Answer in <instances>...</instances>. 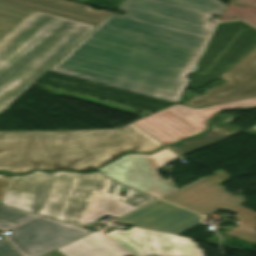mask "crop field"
<instances>
[{
    "label": "crop field",
    "mask_w": 256,
    "mask_h": 256,
    "mask_svg": "<svg viewBox=\"0 0 256 256\" xmlns=\"http://www.w3.org/2000/svg\"><path fill=\"white\" fill-rule=\"evenodd\" d=\"M161 146L130 124L103 130L0 132V170L91 171L126 150L152 153Z\"/></svg>",
    "instance_id": "ac0d7876"
},
{
    "label": "crop field",
    "mask_w": 256,
    "mask_h": 256,
    "mask_svg": "<svg viewBox=\"0 0 256 256\" xmlns=\"http://www.w3.org/2000/svg\"><path fill=\"white\" fill-rule=\"evenodd\" d=\"M212 177H203L162 199L196 211L202 215H208L219 209L229 210L241 204L245 197L233 196L224 191L219 184L230 177L222 169L214 172Z\"/></svg>",
    "instance_id": "d8731c3e"
},
{
    "label": "crop field",
    "mask_w": 256,
    "mask_h": 256,
    "mask_svg": "<svg viewBox=\"0 0 256 256\" xmlns=\"http://www.w3.org/2000/svg\"><path fill=\"white\" fill-rule=\"evenodd\" d=\"M237 107H256V97L199 109L175 104L133 124L165 145L205 131L209 119L216 112Z\"/></svg>",
    "instance_id": "f4fd0767"
},
{
    "label": "crop field",
    "mask_w": 256,
    "mask_h": 256,
    "mask_svg": "<svg viewBox=\"0 0 256 256\" xmlns=\"http://www.w3.org/2000/svg\"><path fill=\"white\" fill-rule=\"evenodd\" d=\"M31 12H33V10L0 2V37L15 27Z\"/></svg>",
    "instance_id": "d9b57169"
},
{
    "label": "crop field",
    "mask_w": 256,
    "mask_h": 256,
    "mask_svg": "<svg viewBox=\"0 0 256 256\" xmlns=\"http://www.w3.org/2000/svg\"><path fill=\"white\" fill-rule=\"evenodd\" d=\"M201 219V215L158 199L115 222L177 235Z\"/></svg>",
    "instance_id": "28ad6ade"
},
{
    "label": "crop field",
    "mask_w": 256,
    "mask_h": 256,
    "mask_svg": "<svg viewBox=\"0 0 256 256\" xmlns=\"http://www.w3.org/2000/svg\"><path fill=\"white\" fill-rule=\"evenodd\" d=\"M236 214L234 218L238 219V228L227 232V234L248 241L250 243L256 241V213L240 206L230 210Z\"/></svg>",
    "instance_id": "5142ce71"
},
{
    "label": "crop field",
    "mask_w": 256,
    "mask_h": 256,
    "mask_svg": "<svg viewBox=\"0 0 256 256\" xmlns=\"http://www.w3.org/2000/svg\"><path fill=\"white\" fill-rule=\"evenodd\" d=\"M1 2L98 25L111 12L103 10L93 11L86 5L68 0H0Z\"/></svg>",
    "instance_id": "d1516ede"
},
{
    "label": "crop field",
    "mask_w": 256,
    "mask_h": 256,
    "mask_svg": "<svg viewBox=\"0 0 256 256\" xmlns=\"http://www.w3.org/2000/svg\"><path fill=\"white\" fill-rule=\"evenodd\" d=\"M95 28L34 11L0 39V115Z\"/></svg>",
    "instance_id": "412701ff"
},
{
    "label": "crop field",
    "mask_w": 256,
    "mask_h": 256,
    "mask_svg": "<svg viewBox=\"0 0 256 256\" xmlns=\"http://www.w3.org/2000/svg\"><path fill=\"white\" fill-rule=\"evenodd\" d=\"M0 256H19L8 244L1 238L0 239Z\"/></svg>",
    "instance_id": "4a817a6b"
},
{
    "label": "crop field",
    "mask_w": 256,
    "mask_h": 256,
    "mask_svg": "<svg viewBox=\"0 0 256 256\" xmlns=\"http://www.w3.org/2000/svg\"><path fill=\"white\" fill-rule=\"evenodd\" d=\"M45 256H64L63 254L59 253L57 250L45 255Z\"/></svg>",
    "instance_id": "00972430"
},
{
    "label": "crop field",
    "mask_w": 256,
    "mask_h": 256,
    "mask_svg": "<svg viewBox=\"0 0 256 256\" xmlns=\"http://www.w3.org/2000/svg\"><path fill=\"white\" fill-rule=\"evenodd\" d=\"M4 238L21 256H41L91 231L52 219L36 217Z\"/></svg>",
    "instance_id": "dd49c442"
},
{
    "label": "crop field",
    "mask_w": 256,
    "mask_h": 256,
    "mask_svg": "<svg viewBox=\"0 0 256 256\" xmlns=\"http://www.w3.org/2000/svg\"><path fill=\"white\" fill-rule=\"evenodd\" d=\"M227 4L125 0L51 70L179 102Z\"/></svg>",
    "instance_id": "8a807250"
},
{
    "label": "crop field",
    "mask_w": 256,
    "mask_h": 256,
    "mask_svg": "<svg viewBox=\"0 0 256 256\" xmlns=\"http://www.w3.org/2000/svg\"><path fill=\"white\" fill-rule=\"evenodd\" d=\"M155 154L158 157L126 155L120 166H110L100 172L123 185L159 197L174 188L169 180L162 179L157 169L179 156L166 148Z\"/></svg>",
    "instance_id": "e52e79f7"
},
{
    "label": "crop field",
    "mask_w": 256,
    "mask_h": 256,
    "mask_svg": "<svg viewBox=\"0 0 256 256\" xmlns=\"http://www.w3.org/2000/svg\"><path fill=\"white\" fill-rule=\"evenodd\" d=\"M10 176L0 175V202Z\"/></svg>",
    "instance_id": "bc2a9ffb"
},
{
    "label": "crop field",
    "mask_w": 256,
    "mask_h": 256,
    "mask_svg": "<svg viewBox=\"0 0 256 256\" xmlns=\"http://www.w3.org/2000/svg\"><path fill=\"white\" fill-rule=\"evenodd\" d=\"M57 219H61V220H63L62 218H59V217H57Z\"/></svg>",
    "instance_id": "eef30255"
},
{
    "label": "crop field",
    "mask_w": 256,
    "mask_h": 256,
    "mask_svg": "<svg viewBox=\"0 0 256 256\" xmlns=\"http://www.w3.org/2000/svg\"><path fill=\"white\" fill-rule=\"evenodd\" d=\"M219 78L226 84L194 97L186 105L200 107L256 96V47Z\"/></svg>",
    "instance_id": "3316defc"
},
{
    "label": "crop field",
    "mask_w": 256,
    "mask_h": 256,
    "mask_svg": "<svg viewBox=\"0 0 256 256\" xmlns=\"http://www.w3.org/2000/svg\"><path fill=\"white\" fill-rule=\"evenodd\" d=\"M252 130H256V126L252 128Z\"/></svg>",
    "instance_id": "730fd06b"
},
{
    "label": "crop field",
    "mask_w": 256,
    "mask_h": 256,
    "mask_svg": "<svg viewBox=\"0 0 256 256\" xmlns=\"http://www.w3.org/2000/svg\"><path fill=\"white\" fill-rule=\"evenodd\" d=\"M117 185L99 172L35 171L11 176L1 204L85 225L105 214L118 217L155 199L130 189L127 198L115 197Z\"/></svg>",
    "instance_id": "34b2d1b8"
},
{
    "label": "crop field",
    "mask_w": 256,
    "mask_h": 256,
    "mask_svg": "<svg viewBox=\"0 0 256 256\" xmlns=\"http://www.w3.org/2000/svg\"><path fill=\"white\" fill-rule=\"evenodd\" d=\"M237 128L239 127L211 125L208 132L202 135L196 136L194 138L175 143L168 147L181 155L188 151H191L199 147L205 146L207 144L221 140L224 137H226L228 134L235 131Z\"/></svg>",
    "instance_id": "cbeb9de0"
},
{
    "label": "crop field",
    "mask_w": 256,
    "mask_h": 256,
    "mask_svg": "<svg viewBox=\"0 0 256 256\" xmlns=\"http://www.w3.org/2000/svg\"><path fill=\"white\" fill-rule=\"evenodd\" d=\"M230 121H231V120H229V119L223 118V119H221V120L216 121V122L213 123V124L227 125ZM230 123H231V122H230Z\"/></svg>",
    "instance_id": "dafd665d"
},
{
    "label": "crop field",
    "mask_w": 256,
    "mask_h": 256,
    "mask_svg": "<svg viewBox=\"0 0 256 256\" xmlns=\"http://www.w3.org/2000/svg\"><path fill=\"white\" fill-rule=\"evenodd\" d=\"M151 156H156V155L153 154V155H151ZM123 158H124V157H122L121 159H123ZM121 159H119V160H121ZM119 160H117V161H115V162H113V163H111V164H109V165H107V166H105V167L99 169V171L102 170V169H104V168H106V167H108V166H110V165H118V161H119Z\"/></svg>",
    "instance_id": "a9b5d70f"
},
{
    "label": "crop field",
    "mask_w": 256,
    "mask_h": 256,
    "mask_svg": "<svg viewBox=\"0 0 256 256\" xmlns=\"http://www.w3.org/2000/svg\"><path fill=\"white\" fill-rule=\"evenodd\" d=\"M108 237L131 251L136 256H205L190 238L174 236L132 227L128 231H112ZM130 252V253H131Z\"/></svg>",
    "instance_id": "5a996713"
},
{
    "label": "crop field",
    "mask_w": 256,
    "mask_h": 256,
    "mask_svg": "<svg viewBox=\"0 0 256 256\" xmlns=\"http://www.w3.org/2000/svg\"><path fill=\"white\" fill-rule=\"evenodd\" d=\"M15 225H17V224H13V223H9V222L0 220V229L7 230Z\"/></svg>",
    "instance_id": "92a150f3"
},
{
    "label": "crop field",
    "mask_w": 256,
    "mask_h": 256,
    "mask_svg": "<svg viewBox=\"0 0 256 256\" xmlns=\"http://www.w3.org/2000/svg\"><path fill=\"white\" fill-rule=\"evenodd\" d=\"M120 192H125V196L120 195ZM114 195L125 198L127 196V188L119 184Z\"/></svg>",
    "instance_id": "214f88e0"
},
{
    "label": "crop field",
    "mask_w": 256,
    "mask_h": 256,
    "mask_svg": "<svg viewBox=\"0 0 256 256\" xmlns=\"http://www.w3.org/2000/svg\"><path fill=\"white\" fill-rule=\"evenodd\" d=\"M34 216L36 215H32L26 212H22L16 209H12V208L0 205V218H3V219L21 223Z\"/></svg>",
    "instance_id": "733c2abd"
},
{
    "label": "crop field",
    "mask_w": 256,
    "mask_h": 256,
    "mask_svg": "<svg viewBox=\"0 0 256 256\" xmlns=\"http://www.w3.org/2000/svg\"><path fill=\"white\" fill-rule=\"evenodd\" d=\"M0 173H3V174H8V172H1V171H0Z\"/></svg>",
    "instance_id": "4177f3b9"
},
{
    "label": "crop field",
    "mask_w": 256,
    "mask_h": 256,
    "mask_svg": "<svg viewBox=\"0 0 256 256\" xmlns=\"http://www.w3.org/2000/svg\"><path fill=\"white\" fill-rule=\"evenodd\" d=\"M66 256H129L99 231H94L60 249Z\"/></svg>",
    "instance_id": "22f410ed"
}]
</instances>
